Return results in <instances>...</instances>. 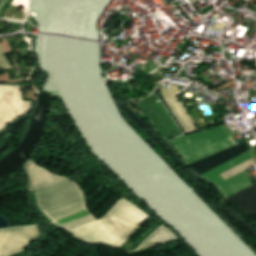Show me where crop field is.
<instances>
[{
    "mask_svg": "<svg viewBox=\"0 0 256 256\" xmlns=\"http://www.w3.org/2000/svg\"><path fill=\"white\" fill-rule=\"evenodd\" d=\"M225 126L169 140L187 165L236 145Z\"/></svg>",
    "mask_w": 256,
    "mask_h": 256,
    "instance_id": "crop-field-1",
    "label": "crop field"
},
{
    "mask_svg": "<svg viewBox=\"0 0 256 256\" xmlns=\"http://www.w3.org/2000/svg\"><path fill=\"white\" fill-rule=\"evenodd\" d=\"M161 95L173 114L176 116L181 126L183 127L185 133H191L197 131V128L180 103L177 96L181 95L177 86L172 85L170 89L161 88Z\"/></svg>",
    "mask_w": 256,
    "mask_h": 256,
    "instance_id": "crop-field-2",
    "label": "crop field"
},
{
    "mask_svg": "<svg viewBox=\"0 0 256 256\" xmlns=\"http://www.w3.org/2000/svg\"><path fill=\"white\" fill-rule=\"evenodd\" d=\"M248 150H249V147L245 142H243L239 145H236L232 148L224 150L220 153H217L215 155H212L210 157L197 161L189 166L192 167L198 174H201Z\"/></svg>",
    "mask_w": 256,
    "mask_h": 256,
    "instance_id": "crop-field-3",
    "label": "crop field"
},
{
    "mask_svg": "<svg viewBox=\"0 0 256 256\" xmlns=\"http://www.w3.org/2000/svg\"><path fill=\"white\" fill-rule=\"evenodd\" d=\"M227 200L237 205L243 212L256 215V185L227 198Z\"/></svg>",
    "mask_w": 256,
    "mask_h": 256,
    "instance_id": "crop-field-4",
    "label": "crop field"
},
{
    "mask_svg": "<svg viewBox=\"0 0 256 256\" xmlns=\"http://www.w3.org/2000/svg\"><path fill=\"white\" fill-rule=\"evenodd\" d=\"M255 152L253 149H251L250 151L240 155L239 157L201 175L200 177L202 179H204L205 181L209 182L212 184V186L224 181V179L219 175L220 173L252 158L255 157L252 153Z\"/></svg>",
    "mask_w": 256,
    "mask_h": 256,
    "instance_id": "crop-field-5",
    "label": "crop field"
},
{
    "mask_svg": "<svg viewBox=\"0 0 256 256\" xmlns=\"http://www.w3.org/2000/svg\"><path fill=\"white\" fill-rule=\"evenodd\" d=\"M253 185L244 172L214 186L225 198Z\"/></svg>",
    "mask_w": 256,
    "mask_h": 256,
    "instance_id": "crop-field-6",
    "label": "crop field"
},
{
    "mask_svg": "<svg viewBox=\"0 0 256 256\" xmlns=\"http://www.w3.org/2000/svg\"><path fill=\"white\" fill-rule=\"evenodd\" d=\"M255 165H256V160L253 158V159H251V160H249V161H247V162H245V163H243V164H241V165H239V166L221 174V176L226 180V179H228V178H230V177H232V176H234V175H236V174H238V173H240V172H242V171H244V170H246V169H248L252 166H255Z\"/></svg>",
    "mask_w": 256,
    "mask_h": 256,
    "instance_id": "crop-field-7",
    "label": "crop field"
}]
</instances>
